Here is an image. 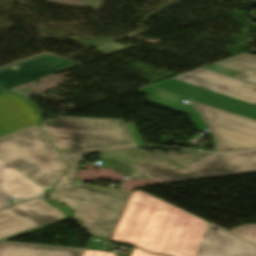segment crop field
I'll use <instances>...</instances> for the list:
<instances>
[{"mask_svg":"<svg viewBox=\"0 0 256 256\" xmlns=\"http://www.w3.org/2000/svg\"><path fill=\"white\" fill-rule=\"evenodd\" d=\"M231 232L256 243V224L236 227Z\"/></svg>","mask_w":256,"mask_h":256,"instance_id":"crop-field-14","label":"crop field"},{"mask_svg":"<svg viewBox=\"0 0 256 256\" xmlns=\"http://www.w3.org/2000/svg\"><path fill=\"white\" fill-rule=\"evenodd\" d=\"M126 125H127L128 129H129V131H130V133H131V135H132V137H133L137 147L144 146V144H143V142H142V140H141V138H140V136H139L135 126H134V124L133 123H126Z\"/></svg>","mask_w":256,"mask_h":256,"instance_id":"crop-field-16","label":"crop field"},{"mask_svg":"<svg viewBox=\"0 0 256 256\" xmlns=\"http://www.w3.org/2000/svg\"><path fill=\"white\" fill-rule=\"evenodd\" d=\"M132 192L79 185L50 194L75 210L73 219L91 234L110 238Z\"/></svg>","mask_w":256,"mask_h":256,"instance_id":"crop-field-5","label":"crop field"},{"mask_svg":"<svg viewBox=\"0 0 256 256\" xmlns=\"http://www.w3.org/2000/svg\"><path fill=\"white\" fill-rule=\"evenodd\" d=\"M140 90L149 93L151 102L188 113L203 131L194 108L181 103L190 99L209 127L216 151L256 148V85L200 68Z\"/></svg>","mask_w":256,"mask_h":256,"instance_id":"crop-field-1","label":"crop field"},{"mask_svg":"<svg viewBox=\"0 0 256 256\" xmlns=\"http://www.w3.org/2000/svg\"><path fill=\"white\" fill-rule=\"evenodd\" d=\"M131 256H159V255H153L145 251H141L138 249L133 248Z\"/></svg>","mask_w":256,"mask_h":256,"instance_id":"crop-field-18","label":"crop field"},{"mask_svg":"<svg viewBox=\"0 0 256 256\" xmlns=\"http://www.w3.org/2000/svg\"><path fill=\"white\" fill-rule=\"evenodd\" d=\"M80 181H81V180H80ZM80 181L78 180V177H77V176H75L71 184H78V183H82V182H80Z\"/></svg>","mask_w":256,"mask_h":256,"instance_id":"crop-field-19","label":"crop field"},{"mask_svg":"<svg viewBox=\"0 0 256 256\" xmlns=\"http://www.w3.org/2000/svg\"><path fill=\"white\" fill-rule=\"evenodd\" d=\"M148 178L161 184L256 172V151L216 155L211 154L188 169L143 163L136 165Z\"/></svg>","mask_w":256,"mask_h":256,"instance_id":"crop-field-6","label":"crop field"},{"mask_svg":"<svg viewBox=\"0 0 256 256\" xmlns=\"http://www.w3.org/2000/svg\"><path fill=\"white\" fill-rule=\"evenodd\" d=\"M81 63L42 54L0 69V87L10 88L24 82L71 68Z\"/></svg>","mask_w":256,"mask_h":256,"instance_id":"crop-field-8","label":"crop field"},{"mask_svg":"<svg viewBox=\"0 0 256 256\" xmlns=\"http://www.w3.org/2000/svg\"><path fill=\"white\" fill-rule=\"evenodd\" d=\"M41 129L63 157L136 147L123 120L58 117L43 123Z\"/></svg>","mask_w":256,"mask_h":256,"instance_id":"crop-field-3","label":"crop field"},{"mask_svg":"<svg viewBox=\"0 0 256 256\" xmlns=\"http://www.w3.org/2000/svg\"><path fill=\"white\" fill-rule=\"evenodd\" d=\"M113 253L85 250L83 256H113Z\"/></svg>","mask_w":256,"mask_h":256,"instance_id":"crop-field-17","label":"crop field"},{"mask_svg":"<svg viewBox=\"0 0 256 256\" xmlns=\"http://www.w3.org/2000/svg\"><path fill=\"white\" fill-rule=\"evenodd\" d=\"M0 158L46 190L68 168L38 125L0 137Z\"/></svg>","mask_w":256,"mask_h":256,"instance_id":"crop-field-4","label":"crop field"},{"mask_svg":"<svg viewBox=\"0 0 256 256\" xmlns=\"http://www.w3.org/2000/svg\"><path fill=\"white\" fill-rule=\"evenodd\" d=\"M0 91H3V90L0 89Z\"/></svg>","mask_w":256,"mask_h":256,"instance_id":"crop-field-20","label":"crop field"},{"mask_svg":"<svg viewBox=\"0 0 256 256\" xmlns=\"http://www.w3.org/2000/svg\"><path fill=\"white\" fill-rule=\"evenodd\" d=\"M196 256H256V244L210 222Z\"/></svg>","mask_w":256,"mask_h":256,"instance_id":"crop-field-9","label":"crop field"},{"mask_svg":"<svg viewBox=\"0 0 256 256\" xmlns=\"http://www.w3.org/2000/svg\"><path fill=\"white\" fill-rule=\"evenodd\" d=\"M208 221L143 191H133L110 240L152 253L195 256Z\"/></svg>","mask_w":256,"mask_h":256,"instance_id":"crop-field-2","label":"crop field"},{"mask_svg":"<svg viewBox=\"0 0 256 256\" xmlns=\"http://www.w3.org/2000/svg\"><path fill=\"white\" fill-rule=\"evenodd\" d=\"M44 194V189L0 159V209L12 205L6 201L14 198L17 203Z\"/></svg>","mask_w":256,"mask_h":256,"instance_id":"crop-field-11","label":"crop field"},{"mask_svg":"<svg viewBox=\"0 0 256 256\" xmlns=\"http://www.w3.org/2000/svg\"><path fill=\"white\" fill-rule=\"evenodd\" d=\"M31 105L9 91L0 93V136L41 123Z\"/></svg>","mask_w":256,"mask_h":256,"instance_id":"crop-field-10","label":"crop field"},{"mask_svg":"<svg viewBox=\"0 0 256 256\" xmlns=\"http://www.w3.org/2000/svg\"><path fill=\"white\" fill-rule=\"evenodd\" d=\"M47 196L25 202L0 212V240H7L68 219L71 211L48 202Z\"/></svg>","mask_w":256,"mask_h":256,"instance_id":"crop-field-7","label":"crop field"},{"mask_svg":"<svg viewBox=\"0 0 256 256\" xmlns=\"http://www.w3.org/2000/svg\"><path fill=\"white\" fill-rule=\"evenodd\" d=\"M83 252L79 249L0 243V256H82Z\"/></svg>","mask_w":256,"mask_h":256,"instance_id":"crop-field-13","label":"crop field"},{"mask_svg":"<svg viewBox=\"0 0 256 256\" xmlns=\"http://www.w3.org/2000/svg\"><path fill=\"white\" fill-rule=\"evenodd\" d=\"M203 68L256 84V57L247 53L208 65ZM229 72L235 73V75Z\"/></svg>","mask_w":256,"mask_h":256,"instance_id":"crop-field-12","label":"crop field"},{"mask_svg":"<svg viewBox=\"0 0 256 256\" xmlns=\"http://www.w3.org/2000/svg\"><path fill=\"white\" fill-rule=\"evenodd\" d=\"M66 160L70 164L71 168L68 171V173L63 177V179L57 184L55 189L68 185V183L70 181V178H71V176H72V174L75 170V167H76V165L79 161V160H76V159H68V158H66Z\"/></svg>","mask_w":256,"mask_h":256,"instance_id":"crop-field-15","label":"crop field"}]
</instances>
